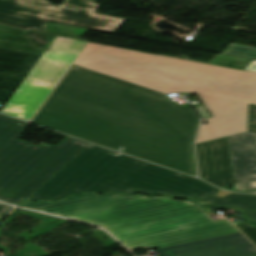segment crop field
Listing matches in <instances>:
<instances>
[{
  "mask_svg": "<svg viewBox=\"0 0 256 256\" xmlns=\"http://www.w3.org/2000/svg\"><path fill=\"white\" fill-rule=\"evenodd\" d=\"M156 56L88 42L31 122L103 146L118 135L123 153L196 176L199 120L166 94L221 83Z\"/></svg>",
  "mask_w": 256,
  "mask_h": 256,
  "instance_id": "obj_1",
  "label": "crop field"
},
{
  "mask_svg": "<svg viewBox=\"0 0 256 256\" xmlns=\"http://www.w3.org/2000/svg\"><path fill=\"white\" fill-rule=\"evenodd\" d=\"M218 190L201 180L90 144L27 201H58L72 193L87 192L166 193L176 198H203Z\"/></svg>",
  "mask_w": 256,
  "mask_h": 256,
  "instance_id": "obj_3",
  "label": "crop field"
},
{
  "mask_svg": "<svg viewBox=\"0 0 256 256\" xmlns=\"http://www.w3.org/2000/svg\"><path fill=\"white\" fill-rule=\"evenodd\" d=\"M198 96L215 118L208 120V126H201L196 143L245 132L248 103L256 104V73L203 91Z\"/></svg>",
  "mask_w": 256,
  "mask_h": 256,
  "instance_id": "obj_6",
  "label": "crop field"
},
{
  "mask_svg": "<svg viewBox=\"0 0 256 256\" xmlns=\"http://www.w3.org/2000/svg\"><path fill=\"white\" fill-rule=\"evenodd\" d=\"M159 250L161 256H256V248L241 233Z\"/></svg>",
  "mask_w": 256,
  "mask_h": 256,
  "instance_id": "obj_8",
  "label": "crop field"
},
{
  "mask_svg": "<svg viewBox=\"0 0 256 256\" xmlns=\"http://www.w3.org/2000/svg\"><path fill=\"white\" fill-rule=\"evenodd\" d=\"M223 53L229 54V55L245 57V58L256 59V49L255 48L244 47V46H239V45L230 44L225 49V51Z\"/></svg>",
  "mask_w": 256,
  "mask_h": 256,
  "instance_id": "obj_14",
  "label": "crop field"
},
{
  "mask_svg": "<svg viewBox=\"0 0 256 256\" xmlns=\"http://www.w3.org/2000/svg\"><path fill=\"white\" fill-rule=\"evenodd\" d=\"M93 1H97V0H93Z\"/></svg>",
  "mask_w": 256,
  "mask_h": 256,
  "instance_id": "obj_22",
  "label": "crop field"
},
{
  "mask_svg": "<svg viewBox=\"0 0 256 256\" xmlns=\"http://www.w3.org/2000/svg\"><path fill=\"white\" fill-rule=\"evenodd\" d=\"M236 191L256 189V135L228 137Z\"/></svg>",
  "mask_w": 256,
  "mask_h": 256,
  "instance_id": "obj_10",
  "label": "crop field"
},
{
  "mask_svg": "<svg viewBox=\"0 0 256 256\" xmlns=\"http://www.w3.org/2000/svg\"><path fill=\"white\" fill-rule=\"evenodd\" d=\"M245 70L256 72V60H253Z\"/></svg>",
  "mask_w": 256,
  "mask_h": 256,
  "instance_id": "obj_19",
  "label": "crop field"
},
{
  "mask_svg": "<svg viewBox=\"0 0 256 256\" xmlns=\"http://www.w3.org/2000/svg\"><path fill=\"white\" fill-rule=\"evenodd\" d=\"M248 132L256 134V105L249 104Z\"/></svg>",
  "mask_w": 256,
  "mask_h": 256,
  "instance_id": "obj_16",
  "label": "crop field"
},
{
  "mask_svg": "<svg viewBox=\"0 0 256 256\" xmlns=\"http://www.w3.org/2000/svg\"><path fill=\"white\" fill-rule=\"evenodd\" d=\"M226 194H228V193L227 192H223V191L220 190L219 193L217 194V196L222 197V196H224Z\"/></svg>",
  "mask_w": 256,
  "mask_h": 256,
  "instance_id": "obj_20",
  "label": "crop field"
},
{
  "mask_svg": "<svg viewBox=\"0 0 256 256\" xmlns=\"http://www.w3.org/2000/svg\"><path fill=\"white\" fill-rule=\"evenodd\" d=\"M208 202L218 208H224L226 206L240 208L248 218L256 221V195L232 193L222 199L213 196L199 203L205 205Z\"/></svg>",
  "mask_w": 256,
  "mask_h": 256,
  "instance_id": "obj_12",
  "label": "crop field"
},
{
  "mask_svg": "<svg viewBox=\"0 0 256 256\" xmlns=\"http://www.w3.org/2000/svg\"><path fill=\"white\" fill-rule=\"evenodd\" d=\"M29 123L0 115V200L25 202L89 143L68 137L58 146L18 140Z\"/></svg>",
  "mask_w": 256,
  "mask_h": 256,
  "instance_id": "obj_4",
  "label": "crop field"
},
{
  "mask_svg": "<svg viewBox=\"0 0 256 256\" xmlns=\"http://www.w3.org/2000/svg\"><path fill=\"white\" fill-rule=\"evenodd\" d=\"M127 139L116 136L111 142H109L106 147L116 150L119 146L125 143Z\"/></svg>",
  "mask_w": 256,
  "mask_h": 256,
  "instance_id": "obj_17",
  "label": "crop field"
},
{
  "mask_svg": "<svg viewBox=\"0 0 256 256\" xmlns=\"http://www.w3.org/2000/svg\"><path fill=\"white\" fill-rule=\"evenodd\" d=\"M200 178L221 188L233 183L227 137L196 144Z\"/></svg>",
  "mask_w": 256,
  "mask_h": 256,
  "instance_id": "obj_9",
  "label": "crop field"
},
{
  "mask_svg": "<svg viewBox=\"0 0 256 256\" xmlns=\"http://www.w3.org/2000/svg\"><path fill=\"white\" fill-rule=\"evenodd\" d=\"M236 226L256 245V227L248 224H238Z\"/></svg>",
  "mask_w": 256,
  "mask_h": 256,
  "instance_id": "obj_15",
  "label": "crop field"
},
{
  "mask_svg": "<svg viewBox=\"0 0 256 256\" xmlns=\"http://www.w3.org/2000/svg\"><path fill=\"white\" fill-rule=\"evenodd\" d=\"M9 208L10 205L0 203V214H6Z\"/></svg>",
  "mask_w": 256,
  "mask_h": 256,
  "instance_id": "obj_18",
  "label": "crop field"
},
{
  "mask_svg": "<svg viewBox=\"0 0 256 256\" xmlns=\"http://www.w3.org/2000/svg\"><path fill=\"white\" fill-rule=\"evenodd\" d=\"M51 46L48 51H57L69 54L80 55L83 48L87 44L85 41L55 37L51 42Z\"/></svg>",
  "mask_w": 256,
  "mask_h": 256,
  "instance_id": "obj_13",
  "label": "crop field"
},
{
  "mask_svg": "<svg viewBox=\"0 0 256 256\" xmlns=\"http://www.w3.org/2000/svg\"><path fill=\"white\" fill-rule=\"evenodd\" d=\"M18 206L102 226L129 249L160 248L237 231L228 220L214 222L197 205L169 197L87 194L58 204Z\"/></svg>",
  "mask_w": 256,
  "mask_h": 256,
  "instance_id": "obj_2",
  "label": "crop field"
},
{
  "mask_svg": "<svg viewBox=\"0 0 256 256\" xmlns=\"http://www.w3.org/2000/svg\"><path fill=\"white\" fill-rule=\"evenodd\" d=\"M101 4L88 0H0V25L44 30L46 21L114 34L124 17L100 14Z\"/></svg>",
  "mask_w": 256,
  "mask_h": 256,
  "instance_id": "obj_5",
  "label": "crop field"
},
{
  "mask_svg": "<svg viewBox=\"0 0 256 256\" xmlns=\"http://www.w3.org/2000/svg\"><path fill=\"white\" fill-rule=\"evenodd\" d=\"M246 192H250V193H256V191H246Z\"/></svg>",
  "mask_w": 256,
  "mask_h": 256,
  "instance_id": "obj_21",
  "label": "crop field"
},
{
  "mask_svg": "<svg viewBox=\"0 0 256 256\" xmlns=\"http://www.w3.org/2000/svg\"><path fill=\"white\" fill-rule=\"evenodd\" d=\"M76 57L44 52L1 112L30 120Z\"/></svg>",
  "mask_w": 256,
  "mask_h": 256,
  "instance_id": "obj_7",
  "label": "crop field"
},
{
  "mask_svg": "<svg viewBox=\"0 0 256 256\" xmlns=\"http://www.w3.org/2000/svg\"><path fill=\"white\" fill-rule=\"evenodd\" d=\"M157 58H159L163 61H169L177 66L186 65V66H188L202 74H205L221 83H224L231 79H234L239 76L250 73V72L239 71V70H234V69H229V68H224V67H219V66H213V65H208V64L198 63V62H192V61H187V60H182V59H177V58H172V57H166V56H161V55H158Z\"/></svg>",
  "mask_w": 256,
  "mask_h": 256,
  "instance_id": "obj_11",
  "label": "crop field"
}]
</instances>
